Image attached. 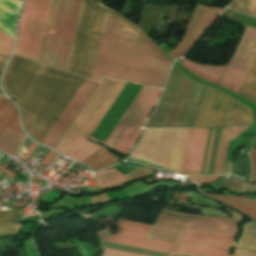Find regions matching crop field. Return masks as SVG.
Segmentation results:
<instances>
[{
	"label": "crop field",
	"instance_id": "crop-field-1",
	"mask_svg": "<svg viewBox=\"0 0 256 256\" xmlns=\"http://www.w3.org/2000/svg\"><path fill=\"white\" fill-rule=\"evenodd\" d=\"M85 78L14 55L3 87L21 108L24 128L41 142Z\"/></svg>",
	"mask_w": 256,
	"mask_h": 256
},
{
	"label": "crop field",
	"instance_id": "crop-field-2",
	"mask_svg": "<svg viewBox=\"0 0 256 256\" xmlns=\"http://www.w3.org/2000/svg\"><path fill=\"white\" fill-rule=\"evenodd\" d=\"M107 11L131 25L172 62L135 25L116 12ZM111 13H106L90 78L99 81L101 75H105L162 88L171 63L143 36Z\"/></svg>",
	"mask_w": 256,
	"mask_h": 256
},
{
	"label": "crop field",
	"instance_id": "crop-field-3",
	"mask_svg": "<svg viewBox=\"0 0 256 256\" xmlns=\"http://www.w3.org/2000/svg\"><path fill=\"white\" fill-rule=\"evenodd\" d=\"M141 88V85L127 82L90 138L104 142ZM160 91L161 90L143 86L103 144L125 155L135 144L141 126L154 105Z\"/></svg>",
	"mask_w": 256,
	"mask_h": 256
},
{
	"label": "crop field",
	"instance_id": "crop-field-4",
	"mask_svg": "<svg viewBox=\"0 0 256 256\" xmlns=\"http://www.w3.org/2000/svg\"><path fill=\"white\" fill-rule=\"evenodd\" d=\"M207 85L173 65L157 108L146 127H192Z\"/></svg>",
	"mask_w": 256,
	"mask_h": 256
},
{
	"label": "crop field",
	"instance_id": "crop-field-5",
	"mask_svg": "<svg viewBox=\"0 0 256 256\" xmlns=\"http://www.w3.org/2000/svg\"><path fill=\"white\" fill-rule=\"evenodd\" d=\"M106 9L96 0H83L66 71L90 77Z\"/></svg>",
	"mask_w": 256,
	"mask_h": 256
},
{
	"label": "crop field",
	"instance_id": "crop-field-6",
	"mask_svg": "<svg viewBox=\"0 0 256 256\" xmlns=\"http://www.w3.org/2000/svg\"><path fill=\"white\" fill-rule=\"evenodd\" d=\"M126 82L103 78L55 150L65 153L82 135L89 138Z\"/></svg>",
	"mask_w": 256,
	"mask_h": 256
},
{
	"label": "crop field",
	"instance_id": "crop-field-7",
	"mask_svg": "<svg viewBox=\"0 0 256 256\" xmlns=\"http://www.w3.org/2000/svg\"><path fill=\"white\" fill-rule=\"evenodd\" d=\"M239 102L209 86L193 127L252 125V111Z\"/></svg>",
	"mask_w": 256,
	"mask_h": 256
},
{
	"label": "crop field",
	"instance_id": "crop-field-8",
	"mask_svg": "<svg viewBox=\"0 0 256 256\" xmlns=\"http://www.w3.org/2000/svg\"><path fill=\"white\" fill-rule=\"evenodd\" d=\"M51 0H25L18 23L15 54L37 59Z\"/></svg>",
	"mask_w": 256,
	"mask_h": 256
},
{
	"label": "crop field",
	"instance_id": "crop-field-9",
	"mask_svg": "<svg viewBox=\"0 0 256 256\" xmlns=\"http://www.w3.org/2000/svg\"><path fill=\"white\" fill-rule=\"evenodd\" d=\"M82 0H61L46 64L65 69Z\"/></svg>",
	"mask_w": 256,
	"mask_h": 256
},
{
	"label": "crop field",
	"instance_id": "crop-field-10",
	"mask_svg": "<svg viewBox=\"0 0 256 256\" xmlns=\"http://www.w3.org/2000/svg\"><path fill=\"white\" fill-rule=\"evenodd\" d=\"M235 234L185 230L175 253L203 256H229Z\"/></svg>",
	"mask_w": 256,
	"mask_h": 256
},
{
	"label": "crop field",
	"instance_id": "crop-field-11",
	"mask_svg": "<svg viewBox=\"0 0 256 256\" xmlns=\"http://www.w3.org/2000/svg\"><path fill=\"white\" fill-rule=\"evenodd\" d=\"M151 225L118 219V233L101 240L171 254L174 246L143 239Z\"/></svg>",
	"mask_w": 256,
	"mask_h": 256
},
{
	"label": "crop field",
	"instance_id": "crop-field-12",
	"mask_svg": "<svg viewBox=\"0 0 256 256\" xmlns=\"http://www.w3.org/2000/svg\"><path fill=\"white\" fill-rule=\"evenodd\" d=\"M221 11V9L197 4L181 41L168 54L174 59L184 55Z\"/></svg>",
	"mask_w": 256,
	"mask_h": 256
},
{
	"label": "crop field",
	"instance_id": "crop-field-13",
	"mask_svg": "<svg viewBox=\"0 0 256 256\" xmlns=\"http://www.w3.org/2000/svg\"><path fill=\"white\" fill-rule=\"evenodd\" d=\"M97 84L98 83L86 79L48 136L43 141V144L54 148Z\"/></svg>",
	"mask_w": 256,
	"mask_h": 256
},
{
	"label": "crop field",
	"instance_id": "crop-field-14",
	"mask_svg": "<svg viewBox=\"0 0 256 256\" xmlns=\"http://www.w3.org/2000/svg\"><path fill=\"white\" fill-rule=\"evenodd\" d=\"M162 212L179 215V216L207 219V220H221V221L234 222L233 218L196 216V215H188V214L176 213V212L165 211V210H162ZM156 222L182 226L187 228H193V229H203V230L231 232V233H236V227L238 224V223H230V222L205 221V220L188 219L184 217H174V216H169L162 213H160Z\"/></svg>",
	"mask_w": 256,
	"mask_h": 256
},
{
	"label": "crop field",
	"instance_id": "crop-field-15",
	"mask_svg": "<svg viewBox=\"0 0 256 256\" xmlns=\"http://www.w3.org/2000/svg\"><path fill=\"white\" fill-rule=\"evenodd\" d=\"M209 129H189L181 171L183 175L201 172Z\"/></svg>",
	"mask_w": 256,
	"mask_h": 256
},
{
	"label": "crop field",
	"instance_id": "crop-field-16",
	"mask_svg": "<svg viewBox=\"0 0 256 256\" xmlns=\"http://www.w3.org/2000/svg\"><path fill=\"white\" fill-rule=\"evenodd\" d=\"M255 56L256 30L247 26L234 56L227 65L247 73Z\"/></svg>",
	"mask_w": 256,
	"mask_h": 256
},
{
	"label": "crop field",
	"instance_id": "crop-field-17",
	"mask_svg": "<svg viewBox=\"0 0 256 256\" xmlns=\"http://www.w3.org/2000/svg\"><path fill=\"white\" fill-rule=\"evenodd\" d=\"M3 97L0 99V136L6 127L22 132L17 107Z\"/></svg>",
	"mask_w": 256,
	"mask_h": 256
},
{
	"label": "crop field",
	"instance_id": "crop-field-18",
	"mask_svg": "<svg viewBox=\"0 0 256 256\" xmlns=\"http://www.w3.org/2000/svg\"><path fill=\"white\" fill-rule=\"evenodd\" d=\"M17 0H0V30L13 36L14 21L20 9Z\"/></svg>",
	"mask_w": 256,
	"mask_h": 256
},
{
	"label": "crop field",
	"instance_id": "crop-field-19",
	"mask_svg": "<svg viewBox=\"0 0 256 256\" xmlns=\"http://www.w3.org/2000/svg\"><path fill=\"white\" fill-rule=\"evenodd\" d=\"M183 228L155 223L146 239L175 245Z\"/></svg>",
	"mask_w": 256,
	"mask_h": 256
},
{
	"label": "crop field",
	"instance_id": "crop-field-20",
	"mask_svg": "<svg viewBox=\"0 0 256 256\" xmlns=\"http://www.w3.org/2000/svg\"><path fill=\"white\" fill-rule=\"evenodd\" d=\"M181 64L183 66H185L189 71H191L194 75H196L204 80H207L209 82H212L214 84H216V82L225 66V65L213 66V65L196 64L187 59H184Z\"/></svg>",
	"mask_w": 256,
	"mask_h": 256
},
{
	"label": "crop field",
	"instance_id": "crop-field-21",
	"mask_svg": "<svg viewBox=\"0 0 256 256\" xmlns=\"http://www.w3.org/2000/svg\"><path fill=\"white\" fill-rule=\"evenodd\" d=\"M209 196L238 210L239 212H241L246 216L256 219V201L250 198H240V197H231V196H212V195H209Z\"/></svg>",
	"mask_w": 256,
	"mask_h": 256
},
{
	"label": "crop field",
	"instance_id": "crop-field-22",
	"mask_svg": "<svg viewBox=\"0 0 256 256\" xmlns=\"http://www.w3.org/2000/svg\"><path fill=\"white\" fill-rule=\"evenodd\" d=\"M59 4H60V0H52V4H51V8H50V12H49L41 48H40V52H39V56H38V60H37L39 62H43V63L45 62V58H46L50 38L52 35V31H53L57 11L59 8Z\"/></svg>",
	"mask_w": 256,
	"mask_h": 256
},
{
	"label": "crop field",
	"instance_id": "crop-field-23",
	"mask_svg": "<svg viewBox=\"0 0 256 256\" xmlns=\"http://www.w3.org/2000/svg\"><path fill=\"white\" fill-rule=\"evenodd\" d=\"M26 135L6 128L0 137V150L15 155Z\"/></svg>",
	"mask_w": 256,
	"mask_h": 256
},
{
	"label": "crop field",
	"instance_id": "crop-field-24",
	"mask_svg": "<svg viewBox=\"0 0 256 256\" xmlns=\"http://www.w3.org/2000/svg\"><path fill=\"white\" fill-rule=\"evenodd\" d=\"M102 146L96 145L94 143L88 142L82 136L73 144V146L65 153V155L75 159L83 160L90 154L94 153Z\"/></svg>",
	"mask_w": 256,
	"mask_h": 256
},
{
	"label": "crop field",
	"instance_id": "crop-field-25",
	"mask_svg": "<svg viewBox=\"0 0 256 256\" xmlns=\"http://www.w3.org/2000/svg\"><path fill=\"white\" fill-rule=\"evenodd\" d=\"M95 179L101 188V190L118 186L126 181L122 174H120L114 168L94 173Z\"/></svg>",
	"mask_w": 256,
	"mask_h": 256
},
{
	"label": "crop field",
	"instance_id": "crop-field-26",
	"mask_svg": "<svg viewBox=\"0 0 256 256\" xmlns=\"http://www.w3.org/2000/svg\"><path fill=\"white\" fill-rule=\"evenodd\" d=\"M237 249L256 253V222L251 221L244 225L243 234L239 239Z\"/></svg>",
	"mask_w": 256,
	"mask_h": 256
},
{
	"label": "crop field",
	"instance_id": "crop-field-27",
	"mask_svg": "<svg viewBox=\"0 0 256 256\" xmlns=\"http://www.w3.org/2000/svg\"><path fill=\"white\" fill-rule=\"evenodd\" d=\"M245 76L246 73L227 66L218 85L238 92Z\"/></svg>",
	"mask_w": 256,
	"mask_h": 256
},
{
	"label": "crop field",
	"instance_id": "crop-field-28",
	"mask_svg": "<svg viewBox=\"0 0 256 256\" xmlns=\"http://www.w3.org/2000/svg\"><path fill=\"white\" fill-rule=\"evenodd\" d=\"M232 127L222 128L213 174L222 173Z\"/></svg>",
	"mask_w": 256,
	"mask_h": 256
},
{
	"label": "crop field",
	"instance_id": "crop-field-29",
	"mask_svg": "<svg viewBox=\"0 0 256 256\" xmlns=\"http://www.w3.org/2000/svg\"><path fill=\"white\" fill-rule=\"evenodd\" d=\"M119 160L116 156L108 152L104 147L85 159L83 162L87 163L93 170H97L103 166L110 165Z\"/></svg>",
	"mask_w": 256,
	"mask_h": 256
},
{
	"label": "crop field",
	"instance_id": "crop-field-30",
	"mask_svg": "<svg viewBox=\"0 0 256 256\" xmlns=\"http://www.w3.org/2000/svg\"><path fill=\"white\" fill-rule=\"evenodd\" d=\"M238 93L256 103V58Z\"/></svg>",
	"mask_w": 256,
	"mask_h": 256
},
{
	"label": "crop field",
	"instance_id": "crop-field-31",
	"mask_svg": "<svg viewBox=\"0 0 256 256\" xmlns=\"http://www.w3.org/2000/svg\"><path fill=\"white\" fill-rule=\"evenodd\" d=\"M220 16L230 19V20H233V21H236V22H239V23H242V24H245V25H248V26L256 29V19L246 16L244 14L226 9Z\"/></svg>",
	"mask_w": 256,
	"mask_h": 256
},
{
	"label": "crop field",
	"instance_id": "crop-field-32",
	"mask_svg": "<svg viewBox=\"0 0 256 256\" xmlns=\"http://www.w3.org/2000/svg\"><path fill=\"white\" fill-rule=\"evenodd\" d=\"M228 7L256 16V0H233Z\"/></svg>",
	"mask_w": 256,
	"mask_h": 256
},
{
	"label": "crop field",
	"instance_id": "crop-field-33",
	"mask_svg": "<svg viewBox=\"0 0 256 256\" xmlns=\"http://www.w3.org/2000/svg\"><path fill=\"white\" fill-rule=\"evenodd\" d=\"M13 49V38L0 32V52L10 56Z\"/></svg>",
	"mask_w": 256,
	"mask_h": 256
},
{
	"label": "crop field",
	"instance_id": "crop-field-34",
	"mask_svg": "<svg viewBox=\"0 0 256 256\" xmlns=\"http://www.w3.org/2000/svg\"><path fill=\"white\" fill-rule=\"evenodd\" d=\"M153 171L146 169L144 167H141L127 175H125V177H127L129 180H133V179H138V178H142L150 173H152Z\"/></svg>",
	"mask_w": 256,
	"mask_h": 256
},
{
	"label": "crop field",
	"instance_id": "crop-field-35",
	"mask_svg": "<svg viewBox=\"0 0 256 256\" xmlns=\"http://www.w3.org/2000/svg\"><path fill=\"white\" fill-rule=\"evenodd\" d=\"M218 177H222V175H215V176H201V177H189L193 181L199 183L200 185H205L210 182H214L218 179Z\"/></svg>",
	"mask_w": 256,
	"mask_h": 256
},
{
	"label": "crop field",
	"instance_id": "crop-field-36",
	"mask_svg": "<svg viewBox=\"0 0 256 256\" xmlns=\"http://www.w3.org/2000/svg\"><path fill=\"white\" fill-rule=\"evenodd\" d=\"M18 212L15 211H1L0 212V224L12 222Z\"/></svg>",
	"mask_w": 256,
	"mask_h": 256
},
{
	"label": "crop field",
	"instance_id": "crop-field-37",
	"mask_svg": "<svg viewBox=\"0 0 256 256\" xmlns=\"http://www.w3.org/2000/svg\"><path fill=\"white\" fill-rule=\"evenodd\" d=\"M103 256H142V255H137V254H131V253H126V252H121V251H116V250L105 249V253L103 254Z\"/></svg>",
	"mask_w": 256,
	"mask_h": 256
},
{
	"label": "crop field",
	"instance_id": "crop-field-38",
	"mask_svg": "<svg viewBox=\"0 0 256 256\" xmlns=\"http://www.w3.org/2000/svg\"><path fill=\"white\" fill-rule=\"evenodd\" d=\"M252 160L253 180L256 182V151L252 150L250 153Z\"/></svg>",
	"mask_w": 256,
	"mask_h": 256
},
{
	"label": "crop field",
	"instance_id": "crop-field-39",
	"mask_svg": "<svg viewBox=\"0 0 256 256\" xmlns=\"http://www.w3.org/2000/svg\"><path fill=\"white\" fill-rule=\"evenodd\" d=\"M247 128L248 127H244V126L233 127L230 140L235 139L239 133H241L242 131H244Z\"/></svg>",
	"mask_w": 256,
	"mask_h": 256
},
{
	"label": "crop field",
	"instance_id": "crop-field-40",
	"mask_svg": "<svg viewBox=\"0 0 256 256\" xmlns=\"http://www.w3.org/2000/svg\"><path fill=\"white\" fill-rule=\"evenodd\" d=\"M224 180L227 187L240 189V181H234L231 179H224Z\"/></svg>",
	"mask_w": 256,
	"mask_h": 256
},
{
	"label": "crop field",
	"instance_id": "crop-field-41",
	"mask_svg": "<svg viewBox=\"0 0 256 256\" xmlns=\"http://www.w3.org/2000/svg\"><path fill=\"white\" fill-rule=\"evenodd\" d=\"M232 256H256V254L240 251V250H234V253Z\"/></svg>",
	"mask_w": 256,
	"mask_h": 256
},
{
	"label": "crop field",
	"instance_id": "crop-field-42",
	"mask_svg": "<svg viewBox=\"0 0 256 256\" xmlns=\"http://www.w3.org/2000/svg\"><path fill=\"white\" fill-rule=\"evenodd\" d=\"M9 57L3 55L2 53H0V70L2 71L3 67L5 66L7 60Z\"/></svg>",
	"mask_w": 256,
	"mask_h": 256
},
{
	"label": "crop field",
	"instance_id": "crop-field-43",
	"mask_svg": "<svg viewBox=\"0 0 256 256\" xmlns=\"http://www.w3.org/2000/svg\"><path fill=\"white\" fill-rule=\"evenodd\" d=\"M53 155H54V152L49 150L48 153L45 155V157L42 159L41 163L46 165Z\"/></svg>",
	"mask_w": 256,
	"mask_h": 256
},
{
	"label": "crop field",
	"instance_id": "crop-field-44",
	"mask_svg": "<svg viewBox=\"0 0 256 256\" xmlns=\"http://www.w3.org/2000/svg\"><path fill=\"white\" fill-rule=\"evenodd\" d=\"M36 145H37V144H35V143L32 142V144L30 145L29 149H28L27 152H26V155H25L24 159H27V158H28V156L31 154V152H32L33 149L36 147Z\"/></svg>",
	"mask_w": 256,
	"mask_h": 256
},
{
	"label": "crop field",
	"instance_id": "crop-field-45",
	"mask_svg": "<svg viewBox=\"0 0 256 256\" xmlns=\"http://www.w3.org/2000/svg\"><path fill=\"white\" fill-rule=\"evenodd\" d=\"M0 170H2L5 174H7L9 177H11L13 179L15 173L11 172L10 170L0 166Z\"/></svg>",
	"mask_w": 256,
	"mask_h": 256
},
{
	"label": "crop field",
	"instance_id": "crop-field-46",
	"mask_svg": "<svg viewBox=\"0 0 256 256\" xmlns=\"http://www.w3.org/2000/svg\"><path fill=\"white\" fill-rule=\"evenodd\" d=\"M230 214L234 217L235 221H238V222H241V221H242L241 218L237 217V216L234 215L233 213H230Z\"/></svg>",
	"mask_w": 256,
	"mask_h": 256
},
{
	"label": "crop field",
	"instance_id": "crop-field-47",
	"mask_svg": "<svg viewBox=\"0 0 256 256\" xmlns=\"http://www.w3.org/2000/svg\"><path fill=\"white\" fill-rule=\"evenodd\" d=\"M172 256H190V255H179V254H173Z\"/></svg>",
	"mask_w": 256,
	"mask_h": 256
},
{
	"label": "crop field",
	"instance_id": "crop-field-48",
	"mask_svg": "<svg viewBox=\"0 0 256 256\" xmlns=\"http://www.w3.org/2000/svg\"><path fill=\"white\" fill-rule=\"evenodd\" d=\"M2 96H0V98H1Z\"/></svg>",
	"mask_w": 256,
	"mask_h": 256
},
{
	"label": "crop field",
	"instance_id": "crop-field-49",
	"mask_svg": "<svg viewBox=\"0 0 256 256\" xmlns=\"http://www.w3.org/2000/svg\"><path fill=\"white\" fill-rule=\"evenodd\" d=\"M0 174H2V173L0 172Z\"/></svg>",
	"mask_w": 256,
	"mask_h": 256
}]
</instances>
